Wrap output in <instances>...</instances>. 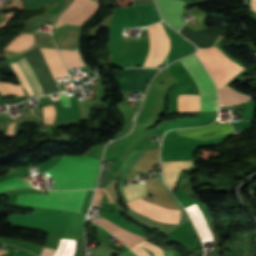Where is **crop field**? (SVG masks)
Returning <instances> with one entry per match:
<instances>
[{
	"label": "crop field",
	"mask_w": 256,
	"mask_h": 256,
	"mask_svg": "<svg viewBox=\"0 0 256 256\" xmlns=\"http://www.w3.org/2000/svg\"><path fill=\"white\" fill-rule=\"evenodd\" d=\"M54 78L68 75L56 49H40Z\"/></svg>",
	"instance_id": "12"
},
{
	"label": "crop field",
	"mask_w": 256,
	"mask_h": 256,
	"mask_svg": "<svg viewBox=\"0 0 256 256\" xmlns=\"http://www.w3.org/2000/svg\"><path fill=\"white\" fill-rule=\"evenodd\" d=\"M55 252H56V250H54V249L44 248V250L40 256H54Z\"/></svg>",
	"instance_id": "24"
},
{
	"label": "crop field",
	"mask_w": 256,
	"mask_h": 256,
	"mask_svg": "<svg viewBox=\"0 0 256 256\" xmlns=\"http://www.w3.org/2000/svg\"><path fill=\"white\" fill-rule=\"evenodd\" d=\"M58 96L61 100L62 106H70V100L66 93L58 94Z\"/></svg>",
	"instance_id": "23"
},
{
	"label": "crop field",
	"mask_w": 256,
	"mask_h": 256,
	"mask_svg": "<svg viewBox=\"0 0 256 256\" xmlns=\"http://www.w3.org/2000/svg\"><path fill=\"white\" fill-rule=\"evenodd\" d=\"M75 240L61 239L55 256H73Z\"/></svg>",
	"instance_id": "18"
},
{
	"label": "crop field",
	"mask_w": 256,
	"mask_h": 256,
	"mask_svg": "<svg viewBox=\"0 0 256 256\" xmlns=\"http://www.w3.org/2000/svg\"><path fill=\"white\" fill-rule=\"evenodd\" d=\"M157 69H130L115 75L122 92L144 91Z\"/></svg>",
	"instance_id": "5"
},
{
	"label": "crop field",
	"mask_w": 256,
	"mask_h": 256,
	"mask_svg": "<svg viewBox=\"0 0 256 256\" xmlns=\"http://www.w3.org/2000/svg\"><path fill=\"white\" fill-rule=\"evenodd\" d=\"M111 203H113V201L109 193L107 192V190L97 189V193L94 198L92 206L94 207L108 206Z\"/></svg>",
	"instance_id": "20"
},
{
	"label": "crop field",
	"mask_w": 256,
	"mask_h": 256,
	"mask_svg": "<svg viewBox=\"0 0 256 256\" xmlns=\"http://www.w3.org/2000/svg\"><path fill=\"white\" fill-rule=\"evenodd\" d=\"M164 20L176 30L183 25L180 14L185 2L178 0H156Z\"/></svg>",
	"instance_id": "7"
},
{
	"label": "crop field",
	"mask_w": 256,
	"mask_h": 256,
	"mask_svg": "<svg viewBox=\"0 0 256 256\" xmlns=\"http://www.w3.org/2000/svg\"><path fill=\"white\" fill-rule=\"evenodd\" d=\"M86 191L87 190L50 192L46 195L19 194L15 202L29 206L49 207L81 212Z\"/></svg>",
	"instance_id": "3"
},
{
	"label": "crop field",
	"mask_w": 256,
	"mask_h": 256,
	"mask_svg": "<svg viewBox=\"0 0 256 256\" xmlns=\"http://www.w3.org/2000/svg\"><path fill=\"white\" fill-rule=\"evenodd\" d=\"M163 256H174V251H172V252H163Z\"/></svg>",
	"instance_id": "30"
},
{
	"label": "crop field",
	"mask_w": 256,
	"mask_h": 256,
	"mask_svg": "<svg viewBox=\"0 0 256 256\" xmlns=\"http://www.w3.org/2000/svg\"><path fill=\"white\" fill-rule=\"evenodd\" d=\"M195 79L201 93L202 111H217L216 89L208 73L192 55L180 60ZM199 95H177L176 112L201 111Z\"/></svg>",
	"instance_id": "2"
},
{
	"label": "crop field",
	"mask_w": 256,
	"mask_h": 256,
	"mask_svg": "<svg viewBox=\"0 0 256 256\" xmlns=\"http://www.w3.org/2000/svg\"><path fill=\"white\" fill-rule=\"evenodd\" d=\"M124 191L129 201L146 195L145 184H129L125 186ZM127 205L133 210L157 221L167 223H178L179 221L180 211L162 209L140 199L127 203Z\"/></svg>",
	"instance_id": "4"
},
{
	"label": "crop field",
	"mask_w": 256,
	"mask_h": 256,
	"mask_svg": "<svg viewBox=\"0 0 256 256\" xmlns=\"http://www.w3.org/2000/svg\"><path fill=\"white\" fill-rule=\"evenodd\" d=\"M185 37L193 41L200 48L209 47L215 41L217 35L220 33L219 29L212 28L208 30H203L199 32H192L185 25L180 31Z\"/></svg>",
	"instance_id": "10"
},
{
	"label": "crop field",
	"mask_w": 256,
	"mask_h": 256,
	"mask_svg": "<svg viewBox=\"0 0 256 256\" xmlns=\"http://www.w3.org/2000/svg\"><path fill=\"white\" fill-rule=\"evenodd\" d=\"M250 7L256 10V0H251Z\"/></svg>",
	"instance_id": "29"
},
{
	"label": "crop field",
	"mask_w": 256,
	"mask_h": 256,
	"mask_svg": "<svg viewBox=\"0 0 256 256\" xmlns=\"http://www.w3.org/2000/svg\"><path fill=\"white\" fill-rule=\"evenodd\" d=\"M43 109H44V122L53 123L54 115H55L54 106L44 107Z\"/></svg>",
	"instance_id": "21"
},
{
	"label": "crop field",
	"mask_w": 256,
	"mask_h": 256,
	"mask_svg": "<svg viewBox=\"0 0 256 256\" xmlns=\"http://www.w3.org/2000/svg\"><path fill=\"white\" fill-rule=\"evenodd\" d=\"M4 86L10 94L18 95V96H25L22 91L21 86H16L11 83H5V82H4Z\"/></svg>",
	"instance_id": "22"
},
{
	"label": "crop field",
	"mask_w": 256,
	"mask_h": 256,
	"mask_svg": "<svg viewBox=\"0 0 256 256\" xmlns=\"http://www.w3.org/2000/svg\"><path fill=\"white\" fill-rule=\"evenodd\" d=\"M185 209L188 212L194 226L196 227L202 241L205 242L208 240H213V236L207 227L206 221L199 207L196 204H193Z\"/></svg>",
	"instance_id": "11"
},
{
	"label": "crop field",
	"mask_w": 256,
	"mask_h": 256,
	"mask_svg": "<svg viewBox=\"0 0 256 256\" xmlns=\"http://www.w3.org/2000/svg\"><path fill=\"white\" fill-rule=\"evenodd\" d=\"M100 160L86 156H64L46 170L55 179V190L93 188Z\"/></svg>",
	"instance_id": "1"
},
{
	"label": "crop field",
	"mask_w": 256,
	"mask_h": 256,
	"mask_svg": "<svg viewBox=\"0 0 256 256\" xmlns=\"http://www.w3.org/2000/svg\"><path fill=\"white\" fill-rule=\"evenodd\" d=\"M0 93H1L3 96H6V95H7V93H6V91H5V89H4L3 85H2V83H0Z\"/></svg>",
	"instance_id": "28"
},
{
	"label": "crop field",
	"mask_w": 256,
	"mask_h": 256,
	"mask_svg": "<svg viewBox=\"0 0 256 256\" xmlns=\"http://www.w3.org/2000/svg\"><path fill=\"white\" fill-rule=\"evenodd\" d=\"M139 20L135 27L146 26L160 21V16L156 10L155 5H138Z\"/></svg>",
	"instance_id": "13"
},
{
	"label": "crop field",
	"mask_w": 256,
	"mask_h": 256,
	"mask_svg": "<svg viewBox=\"0 0 256 256\" xmlns=\"http://www.w3.org/2000/svg\"><path fill=\"white\" fill-rule=\"evenodd\" d=\"M135 4H155L153 0H134Z\"/></svg>",
	"instance_id": "26"
},
{
	"label": "crop field",
	"mask_w": 256,
	"mask_h": 256,
	"mask_svg": "<svg viewBox=\"0 0 256 256\" xmlns=\"http://www.w3.org/2000/svg\"><path fill=\"white\" fill-rule=\"evenodd\" d=\"M88 1L89 0H82V2H81V0H74L72 2L71 6L68 8V10L65 13H63L62 15H60L59 19L68 15V14H70V13H72L77 8L79 3L81 2L80 5L78 6V8L71 15L59 20L57 25L64 24V23L74 19L76 16H78L81 12H83V10L85 9Z\"/></svg>",
	"instance_id": "14"
},
{
	"label": "crop field",
	"mask_w": 256,
	"mask_h": 256,
	"mask_svg": "<svg viewBox=\"0 0 256 256\" xmlns=\"http://www.w3.org/2000/svg\"><path fill=\"white\" fill-rule=\"evenodd\" d=\"M193 163L194 162L192 161H188V162L177 161V162L161 163L164 182L167 185V187L171 190V192L173 191V189L177 184L179 172L192 166Z\"/></svg>",
	"instance_id": "9"
},
{
	"label": "crop field",
	"mask_w": 256,
	"mask_h": 256,
	"mask_svg": "<svg viewBox=\"0 0 256 256\" xmlns=\"http://www.w3.org/2000/svg\"><path fill=\"white\" fill-rule=\"evenodd\" d=\"M18 62L20 63V65L24 69L26 75L28 76V78H29V80H30V82H31V84H32L36 94H37V97L41 96L42 95V93H41L42 89L39 86V84H38V82H37V80H36L32 70H31V68H30V66H29V64H28V62H27V60L25 58V56L23 58H21Z\"/></svg>",
	"instance_id": "16"
},
{
	"label": "crop field",
	"mask_w": 256,
	"mask_h": 256,
	"mask_svg": "<svg viewBox=\"0 0 256 256\" xmlns=\"http://www.w3.org/2000/svg\"><path fill=\"white\" fill-rule=\"evenodd\" d=\"M68 69L85 66L78 51L59 49Z\"/></svg>",
	"instance_id": "15"
},
{
	"label": "crop field",
	"mask_w": 256,
	"mask_h": 256,
	"mask_svg": "<svg viewBox=\"0 0 256 256\" xmlns=\"http://www.w3.org/2000/svg\"><path fill=\"white\" fill-rule=\"evenodd\" d=\"M176 132L181 136L198 139V140H204V139L230 135L233 132V128L230 126L229 123L222 125L216 122L210 126L181 129V130H176Z\"/></svg>",
	"instance_id": "6"
},
{
	"label": "crop field",
	"mask_w": 256,
	"mask_h": 256,
	"mask_svg": "<svg viewBox=\"0 0 256 256\" xmlns=\"http://www.w3.org/2000/svg\"><path fill=\"white\" fill-rule=\"evenodd\" d=\"M98 7H99V2L91 0L85 12L81 16H79L76 20L69 23L83 24L89 17H91L93 14L96 13Z\"/></svg>",
	"instance_id": "19"
},
{
	"label": "crop field",
	"mask_w": 256,
	"mask_h": 256,
	"mask_svg": "<svg viewBox=\"0 0 256 256\" xmlns=\"http://www.w3.org/2000/svg\"><path fill=\"white\" fill-rule=\"evenodd\" d=\"M13 134H14V123L9 125V127L5 133V137L13 136Z\"/></svg>",
	"instance_id": "25"
},
{
	"label": "crop field",
	"mask_w": 256,
	"mask_h": 256,
	"mask_svg": "<svg viewBox=\"0 0 256 256\" xmlns=\"http://www.w3.org/2000/svg\"><path fill=\"white\" fill-rule=\"evenodd\" d=\"M120 256H136V255L129 250L126 253L123 252Z\"/></svg>",
	"instance_id": "27"
},
{
	"label": "crop field",
	"mask_w": 256,
	"mask_h": 256,
	"mask_svg": "<svg viewBox=\"0 0 256 256\" xmlns=\"http://www.w3.org/2000/svg\"><path fill=\"white\" fill-rule=\"evenodd\" d=\"M5 253H7V251L0 250V256L4 255Z\"/></svg>",
	"instance_id": "31"
},
{
	"label": "crop field",
	"mask_w": 256,
	"mask_h": 256,
	"mask_svg": "<svg viewBox=\"0 0 256 256\" xmlns=\"http://www.w3.org/2000/svg\"><path fill=\"white\" fill-rule=\"evenodd\" d=\"M24 186H30L29 181L23 178L15 177V178L0 182V192L10 190L13 188L24 187Z\"/></svg>",
	"instance_id": "17"
},
{
	"label": "crop field",
	"mask_w": 256,
	"mask_h": 256,
	"mask_svg": "<svg viewBox=\"0 0 256 256\" xmlns=\"http://www.w3.org/2000/svg\"><path fill=\"white\" fill-rule=\"evenodd\" d=\"M91 220L97 222L98 224L105 227L108 231H110L113 235H115L118 239L123 241L126 245L135 246L139 244L141 241L145 239L143 236H139L137 234L130 233L114 223L110 222L109 220L105 218H92ZM132 246V247H133ZM131 248V247H130Z\"/></svg>",
	"instance_id": "8"
}]
</instances>
